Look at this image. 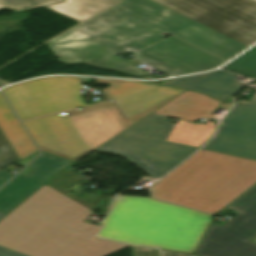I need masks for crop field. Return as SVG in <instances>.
<instances>
[{
    "label": "crop field",
    "instance_id": "obj_7",
    "mask_svg": "<svg viewBox=\"0 0 256 256\" xmlns=\"http://www.w3.org/2000/svg\"><path fill=\"white\" fill-rule=\"evenodd\" d=\"M248 46L256 42V0H152Z\"/></svg>",
    "mask_w": 256,
    "mask_h": 256
},
{
    "label": "crop field",
    "instance_id": "obj_25",
    "mask_svg": "<svg viewBox=\"0 0 256 256\" xmlns=\"http://www.w3.org/2000/svg\"><path fill=\"white\" fill-rule=\"evenodd\" d=\"M38 154H39V151L30 155V156H28V157H26V158H24V159H22V160H20V161H17L16 164L24 166L25 164H27L31 159H33Z\"/></svg>",
    "mask_w": 256,
    "mask_h": 256
},
{
    "label": "crop field",
    "instance_id": "obj_27",
    "mask_svg": "<svg viewBox=\"0 0 256 256\" xmlns=\"http://www.w3.org/2000/svg\"><path fill=\"white\" fill-rule=\"evenodd\" d=\"M31 172H32V170L24 168L22 171L19 172V174L28 176Z\"/></svg>",
    "mask_w": 256,
    "mask_h": 256
},
{
    "label": "crop field",
    "instance_id": "obj_17",
    "mask_svg": "<svg viewBox=\"0 0 256 256\" xmlns=\"http://www.w3.org/2000/svg\"><path fill=\"white\" fill-rule=\"evenodd\" d=\"M82 176H79L73 173L70 167L62 170L57 175L52 177L46 184H48L53 189L59 191L60 193L66 195L67 197L73 199L74 201L80 203L81 205L85 206L90 210H94L96 206L90 204L89 202L85 201L84 199L78 197L77 195L67 191L66 189L71 187L72 185L76 184L80 181Z\"/></svg>",
    "mask_w": 256,
    "mask_h": 256
},
{
    "label": "crop field",
    "instance_id": "obj_2",
    "mask_svg": "<svg viewBox=\"0 0 256 256\" xmlns=\"http://www.w3.org/2000/svg\"><path fill=\"white\" fill-rule=\"evenodd\" d=\"M95 83L111 85L102 90L107 101L23 122L40 150L75 162L185 91L136 81Z\"/></svg>",
    "mask_w": 256,
    "mask_h": 256
},
{
    "label": "crop field",
    "instance_id": "obj_14",
    "mask_svg": "<svg viewBox=\"0 0 256 256\" xmlns=\"http://www.w3.org/2000/svg\"><path fill=\"white\" fill-rule=\"evenodd\" d=\"M0 129L4 133L14 152L22 159L36 151L37 148L13 114L0 93Z\"/></svg>",
    "mask_w": 256,
    "mask_h": 256
},
{
    "label": "crop field",
    "instance_id": "obj_13",
    "mask_svg": "<svg viewBox=\"0 0 256 256\" xmlns=\"http://www.w3.org/2000/svg\"><path fill=\"white\" fill-rule=\"evenodd\" d=\"M221 102L206 95L186 91L153 114L194 121L198 118L211 119V114Z\"/></svg>",
    "mask_w": 256,
    "mask_h": 256
},
{
    "label": "crop field",
    "instance_id": "obj_12",
    "mask_svg": "<svg viewBox=\"0 0 256 256\" xmlns=\"http://www.w3.org/2000/svg\"><path fill=\"white\" fill-rule=\"evenodd\" d=\"M236 77L238 76L217 70L205 74L170 79L164 85L191 89L224 101L244 86L243 83L236 82Z\"/></svg>",
    "mask_w": 256,
    "mask_h": 256
},
{
    "label": "crop field",
    "instance_id": "obj_28",
    "mask_svg": "<svg viewBox=\"0 0 256 256\" xmlns=\"http://www.w3.org/2000/svg\"><path fill=\"white\" fill-rule=\"evenodd\" d=\"M231 105H232V103H223V104L220 106V108H223V109L228 110Z\"/></svg>",
    "mask_w": 256,
    "mask_h": 256
},
{
    "label": "crop field",
    "instance_id": "obj_8",
    "mask_svg": "<svg viewBox=\"0 0 256 256\" xmlns=\"http://www.w3.org/2000/svg\"><path fill=\"white\" fill-rule=\"evenodd\" d=\"M78 77H44L3 89L20 120L86 106Z\"/></svg>",
    "mask_w": 256,
    "mask_h": 256
},
{
    "label": "crop field",
    "instance_id": "obj_24",
    "mask_svg": "<svg viewBox=\"0 0 256 256\" xmlns=\"http://www.w3.org/2000/svg\"><path fill=\"white\" fill-rule=\"evenodd\" d=\"M162 252H163V256H195V255H189L185 253L168 251V250H162Z\"/></svg>",
    "mask_w": 256,
    "mask_h": 256
},
{
    "label": "crop field",
    "instance_id": "obj_30",
    "mask_svg": "<svg viewBox=\"0 0 256 256\" xmlns=\"http://www.w3.org/2000/svg\"><path fill=\"white\" fill-rule=\"evenodd\" d=\"M3 84H5V83L0 82V86L3 85Z\"/></svg>",
    "mask_w": 256,
    "mask_h": 256
},
{
    "label": "crop field",
    "instance_id": "obj_22",
    "mask_svg": "<svg viewBox=\"0 0 256 256\" xmlns=\"http://www.w3.org/2000/svg\"><path fill=\"white\" fill-rule=\"evenodd\" d=\"M0 256H25V255L0 247Z\"/></svg>",
    "mask_w": 256,
    "mask_h": 256
},
{
    "label": "crop field",
    "instance_id": "obj_23",
    "mask_svg": "<svg viewBox=\"0 0 256 256\" xmlns=\"http://www.w3.org/2000/svg\"><path fill=\"white\" fill-rule=\"evenodd\" d=\"M13 174L5 172L3 170L0 171V186L4 184Z\"/></svg>",
    "mask_w": 256,
    "mask_h": 256
},
{
    "label": "crop field",
    "instance_id": "obj_20",
    "mask_svg": "<svg viewBox=\"0 0 256 256\" xmlns=\"http://www.w3.org/2000/svg\"><path fill=\"white\" fill-rule=\"evenodd\" d=\"M17 160L15 153L0 130V170Z\"/></svg>",
    "mask_w": 256,
    "mask_h": 256
},
{
    "label": "crop field",
    "instance_id": "obj_18",
    "mask_svg": "<svg viewBox=\"0 0 256 256\" xmlns=\"http://www.w3.org/2000/svg\"><path fill=\"white\" fill-rule=\"evenodd\" d=\"M223 69L256 79V46L224 66Z\"/></svg>",
    "mask_w": 256,
    "mask_h": 256
},
{
    "label": "crop field",
    "instance_id": "obj_9",
    "mask_svg": "<svg viewBox=\"0 0 256 256\" xmlns=\"http://www.w3.org/2000/svg\"><path fill=\"white\" fill-rule=\"evenodd\" d=\"M227 208L239 212L221 227L210 225L195 254L199 256H256V185Z\"/></svg>",
    "mask_w": 256,
    "mask_h": 256
},
{
    "label": "crop field",
    "instance_id": "obj_21",
    "mask_svg": "<svg viewBox=\"0 0 256 256\" xmlns=\"http://www.w3.org/2000/svg\"><path fill=\"white\" fill-rule=\"evenodd\" d=\"M133 256H160L159 251L154 249L132 248Z\"/></svg>",
    "mask_w": 256,
    "mask_h": 256
},
{
    "label": "crop field",
    "instance_id": "obj_29",
    "mask_svg": "<svg viewBox=\"0 0 256 256\" xmlns=\"http://www.w3.org/2000/svg\"><path fill=\"white\" fill-rule=\"evenodd\" d=\"M3 216H5V214H3V213H0V219H1Z\"/></svg>",
    "mask_w": 256,
    "mask_h": 256
},
{
    "label": "crop field",
    "instance_id": "obj_3",
    "mask_svg": "<svg viewBox=\"0 0 256 256\" xmlns=\"http://www.w3.org/2000/svg\"><path fill=\"white\" fill-rule=\"evenodd\" d=\"M92 211L43 184L0 220V246L28 256H106L127 245L95 238Z\"/></svg>",
    "mask_w": 256,
    "mask_h": 256
},
{
    "label": "crop field",
    "instance_id": "obj_31",
    "mask_svg": "<svg viewBox=\"0 0 256 256\" xmlns=\"http://www.w3.org/2000/svg\"><path fill=\"white\" fill-rule=\"evenodd\" d=\"M252 241L256 242V238H255V239H253Z\"/></svg>",
    "mask_w": 256,
    "mask_h": 256
},
{
    "label": "crop field",
    "instance_id": "obj_4",
    "mask_svg": "<svg viewBox=\"0 0 256 256\" xmlns=\"http://www.w3.org/2000/svg\"><path fill=\"white\" fill-rule=\"evenodd\" d=\"M211 217L151 198L117 196L99 237L192 253Z\"/></svg>",
    "mask_w": 256,
    "mask_h": 256
},
{
    "label": "crop field",
    "instance_id": "obj_1",
    "mask_svg": "<svg viewBox=\"0 0 256 256\" xmlns=\"http://www.w3.org/2000/svg\"><path fill=\"white\" fill-rule=\"evenodd\" d=\"M186 17V16H185ZM150 0H125L47 43L60 62L85 63L134 76L155 78L113 54L129 51L172 76L209 70L248 46ZM49 48V49H50Z\"/></svg>",
    "mask_w": 256,
    "mask_h": 256
},
{
    "label": "crop field",
    "instance_id": "obj_10",
    "mask_svg": "<svg viewBox=\"0 0 256 256\" xmlns=\"http://www.w3.org/2000/svg\"><path fill=\"white\" fill-rule=\"evenodd\" d=\"M203 148L256 159V97L235 103Z\"/></svg>",
    "mask_w": 256,
    "mask_h": 256
},
{
    "label": "crop field",
    "instance_id": "obj_5",
    "mask_svg": "<svg viewBox=\"0 0 256 256\" xmlns=\"http://www.w3.org/2000/svg\"><path fill=\"white\" fill-rule=\"evenodd\" d=\"M256 182V161L200 149L152 188V196L215 214Z\"/></svg>",
    "mask_w": 256,
    "mask_h": 256
},
{
    "label": "crop field",
    "instance_id": "obj_6",
    "mask_svg": "<svg viewBox=\"0 0 256 256\" xmlns=\"http://www.w3.org/2000/svg\"><path fill=\"white\" fill-rule=\"evenodd\" d=\"M150 114L95 151L124 156L148 174L161 178L197 148L167 142L174 123Z\"/></svg>",
    "mask_w": 256,
    "mask_h": 256
},
{
    "label": "crop field",
    "instance_id": "obj_15",
    "mask_svg": "<svg viewBox=\"0 0 256 256\" xmlns=\"http://www.w3.org/2000/svg\"><path fill=\"white\" fill-rule=\"evenodd\" d=\"M118 1L120 0H65L47 7L82 22Z\"/></svg>",
    "mask_w": 256,
    "mask_h": 256
},
{
    "label": "crop field",
    "instance_id": "obj_16",
    "mask_svg": "<svg viewBox=\"0 0 256 256\" xmlns=\"http://www.w3.org/2000/svg\"><path fill=\"white\" fill-rule=\"evenodd\" d=\"M215 124L205 125L179 120L167 141L198 147L214 132Z\"/></svg>",
    "mask_w": 256,
    "mask_h": 256
},
{
    "label": "crop field",
    "instance_id": "obj_11",
    "mask_svg": "<svg viewBox=\"0 0 256 256\" xmlns=\"http://www.w3.org/2000/svg\"><path fill=\"white\" fill-rule=\"evenodd\" d=\"M72 163L43 152L26 166L34 170L28 177L17 174L0 189V212H10L44 182Z\"/></svg>",
    "mask_w": 256,
    "mask_h": 256
},
{
    "label": "crop field",
    "instance_id": "obj_19",
    "mask_svg": "<svg viewBox=\"0 0 256 256\" xmlns=\"http://www.w3.org/2000/svg\"><path fill=\"white\" fill-rule=\"evenodd\" d=\"M62 1L64 0H0V9L9 8L14 12H19L51 5Z\"/></svg>",
    "mask_w": 256,
    "mask_h": 256
},
{
    "label": "crop field",
    "instance_id": "obj_26",
    "mask_svg": "<svg viewBox=\"0 0 256 256\" xmlns=\"http://www.w3.org/2000/svg\"><path fill=\"white\" fill-rule=\"evenodd\" d=\"M81 83H87V84H90L92 78H82V77H79Z\"/></svg>",
    "mask_w": 256,
    "mask_h": 256
}]
</instances>
